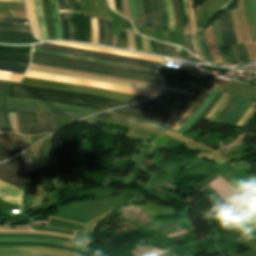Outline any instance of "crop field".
<instances>
[{
    "instance_id": "obj_1",
    "label": "crop field",
    "mask_w": 256,
    "mask_h": 256,
    "mask_svg": "<svg viewBox=\"0 0 256 256\" xmlns=\"http://www.w3.org/2000/svg\"><path fill=\"white\" fill-rule=\"evenodd\" d=\"M7 98H21L62 103L72 106L105 110L107 108L128 104L131 102L102 97L92 94L64 91L58 89L36 87L11 83Z\"/></svg>"
},
{
    "instance_id": "obj_2",
    "label": "crop field",
    "mask_w": 256,
    "mask_h": 256,
    "mask_svg": "<svg viewBox=\"0 0 256 256\" xmlns=\"http://www.w3.org/2000/svg\"><path fill=\"white\" fill-rule=\"evenodd\" d=\"M203 90H198L192 95V98L189 102L188 108L183 112H176L167 109L137 104L133 106H128L124 108H119L115 110L106 111L112 114L135 117L140 119H146L151 121H157L162 123L171 124V129L175 126L181 119H183L187 113L192 109V107L196 104L200 96L202 95Z\"/></svg>"
},
{
    "instance_id": "obj_3",
    "label": "crop field",
    "mask_w": 256,
    "mask_h": 256,
    "mask_svg": "<svg viewBox=\"0 0 256 256\" xmlns=\"http://www.w3.org/2000/svg\"><path fill=\"white\" fill-rule=\"evenodd\" d=\"M233 210L236 213L222 220L235 230L246 244L256 252V215L246 203ZM253 250L238 256H256Z\"/></svg>"
},
{
    "instance_id": "obj_4",
    "label": "crop field",
    "mask_w": 256,
    "mask_h": 256,
    "mask_svg": "<svg viewBox=\"0 0 256 256\" xmlns=\"http://www.w3.org/2000/svg\"><path fill=\"white\" fill-rule=\"evenodd\" d=\"M31 63L41 64V65H48V66H55V67H61V68H67V69L78 70V71L89 72V73H95V74H101V75H107V76H114V77H120V78L146 81V82L161 85L159 78L140 75V74H136V73L117 71V70H111V69H104V68H97V67H90V66H83V65H77V64H71V63H65V62L43 59V58L34 57V56H32Z\"/></svg>"
},
{
    "instance_id": "obj_5",
    "label": "crop field",
    "mask_w": 256,
    "mask_h": 256,
    "mask_svg": "<svg viewBox=\"0 0 256 256\" xmlns=\"http://www.w3.org/2000/svg\"><path fill=\"white\" fill-rule=\"evenodd\" d=\"M70 19V40L91 43L90 15H82L78 0H66Z\"/></svg>"
},
{
    "instance_id": "obj_6",
    "label": "crop field",
    "mask_w": 256,
    "mask_h": 256,
    "mask_svg": "<svg viewBox=\"0 0 256 256\" xmlns=\"http://www.w3.org/2000/svg\"><path fill=\"white\" fill-rule=\"evenodd\" d=\"M21 83L22 84H29V85H36V86H44V87L65 89V90H71V91H78V92L92 93V94L103 95V96L118 98V99H122V100H127V101H131V102L143 101V100L148 99V98L133 96V95H129V94L114 92V91L96 89V88H92V87L76 86V85L63 84V83L50 82V81H42V80H35V79L23 78Z\"/></svg>"
},
{
    "instance_id": "obj_7",
    "label": "crop field",
    "mask_w": 256,
    "mask_h": 256,
    "mask_svg": "<svg viewBox=\"0 0 256 256\" xmlns=\"http://www.w3.org/2000/svg\"><path fill=\"white\" fill-rule=\"evenodd\" d=\"M0 179L19 188L24 186V165L22 154L0 164Z\"/></svg>"
},
{
    "instance_id": "obj_8",
    "label": "crop field",
    "mask_w": 256,
    "mask_h": 256,
    "mask_svg": "<svg viewBox=\"0 0 256 256\" xmlns=\"http://www.w3.org/2000/svg\"><path fill=\"white\" fill-rule=\"evenodd\" d=\"M0 254L36 256H80L73 252L31 246H0Z\"/></svg>"
},
{
    "instance_id": "obj_9",
    "label": "crop field",
    "mask_w": 256,
    "mask_h": 256,
    "mask_svg": "<svg viewBox=\"0 0 256 256\" xmlns=\"http://www.w3.org/2000/svg\"><path fill=\"white\" fill-rule=\"evenodd\" d=\"M7 105H21V106H28V107L41 108V109H51V110H58L62 112L83 114L85 116L91 113L98 112L90 109L72 107V106H67L62 104L31 101V100H21V99H7Z\"/></svg>"
},
{
    "instance_id": "obj_10",
    "label": "crop field",
    "mask_w": 256,
    "mask_h": 256,
    "mask_svg": "<svg viewBox=\"0 0 256 256\" xmlns=\"http://www.w3.org/2000/svg\"><path fill=\"white\" fill-rule=\"evenodd\" d=\"M23 150L19 136L12 133L0 134V161Z\"/></svg>"
},
{
    "instance_id": "obj_11",
    "label": "crop field",
    "mask_w": 256,
    "mask_h": 256,
    "mask_svg": "<svg viewBox=\"0 0 256 256\" xmlns=\"http://www.w3.org/2000/svg\"><path fill=\"white\" fill-rule=\"evenodd\" d=\"M93 117L113 120V121L122 122V123L130 124V125L155 129V130H159V131H163V132H165L169 127L168 124H162V123L151 122V121H146V120L116 116V115H112V114H109V113H106V112L97 114Z\"/></svg>"
},
{
    "instance_id": "obj_12",
    "label": "crop field",
    "mask_w": 256,
    "mask_h": 256,
    "mask_svg": "<svg viewBox=\"0 0 256 256\" xmlns=\"http://www.w3.org/2000/svg\"><path fill=\"white\" fill-rule=\"evenodd\" d=\"M17 119L20 134H37L36 113L17 111Z\"/></svg>"
},
{
    "instance_id": "obj_13",
    "label": "crop field",
    "mask_w": 256,
    "mask_h": 256,
    "mask_svg": "<svg viewBox=\"0 0 256 256\" xmlns=\"http://www.w3.org/2000/svg\"><path fill=\"white\" fill-rule=\"evenodd\" d=\"M39 46H45V47H51V48H56V49H62V50H68V51H74V52H80V53H86V54H92V55H99V56H105V57H112V58H118V59L130 60V61H136V62L151 64V65H156V66L161 64L159 62L147 61V60L130 58V57H122V56H116V55H110V54H104V53H98V52H91V51H85V50H78V49L60 47V46L49 45V44H41Z\"/></svg>"
},
{
    "instance_id": "obj_14",
    "label": "crop field",
    "mask_w": 256,
    "mask_h": 256,
    "mask_svg": "<svg viewBox=\"0 0 256 256\" xmlns=\"http://www.w3.org/2000/svg\"><path fill=\"white\" fill-rule=\"evenodd\" d=\"M0 241H8V242H43V243H51V244L68 246V247L77 248V249H81V250H84V248H85V246L74 244V243H71V242H63V241L43 239V238H5V237H0Z\"/></svg>"
},
{
    "instance_id": "obj_15",
    "label": "crop field",
    "mask_w": 256,
    "mask_h": 256,
    "mask_svg": "<svg viewBox=\"0 0 256 256\" xmlns=\"http://www.w3.org/2000/svg\"><path fill=\"white\" fill-rule=\"evenodd\" d=\"M99 44L112 46L111 20L98 19Z\"/></svg>"
},
{
    "instance_id": "obj_16",
    "label": "crop field",
    "mask_w": 256,
    "mask_h": 256,
    "mask_svg": "<svg viewBox=\"0 0 256 256\" xmlns=\"http://www.w3.org/2000/svg\"><path fill=\"white\" fill-rule=\"evenodd\" d=\"M33 48L42 49V50H48V51L57 52V53H64V54H70V55L89 57V58L100 59V60L111 61V62H117V63H125V64L137 65V66L153 68V69L157 68L156 66L144 65V64H139V63L130 62V61L111 59V58H105V57H99V56H92V55H86V54H80V53H74V52H68V51H62V50H56V49H50V48H44V47H38V46H34Z\"/></svg>"
},
{
    "instance_id": "obj_17",
    "label": "crop field",
    "mask_w": 256,
    "mask_h": 256,
    "mask_svg": "<svg viewBox=\"0 0 256 256\" xmlns=\"http://www.w3.org/2000/svg\"><path fill=\"white\" fill-rule=\"evenodd\" d=\"M219 23L222 29L224 45L227 46V45L236 44L233 31H232V25H231V19H230L229 13L225 14L224 17L220 18Z\"/></svg>"
},
{
    "instance_id": "obj_18",
    "label": "crop field",
    "mask_w": 256,
    "mask_h": 256,
    "mask_svg": "<svg viewBox=\"0 0 256 256\" xmlns=\"http://www.w3.org/2000/svg\"><path fill=\"white\" fill-rule=\"evenodd\" d=\"M32 55H34V56H39V57H43V58H48V59H54V60H60V61H66V62L84 64V65H91V66H97V67L118 69V70L136 72V73H141V74H145V75H150V76H156V77H158V75L155 74V73L145 72V71H139V70H134V69L110 67V66L98 65V64H93V63H87V62H82V61H77V60H71V59H66V58H61V57H55V56H49V55L36 54V53H33Z\"/></svg>"
},
{
    "instance_id": "obj_19",
    "label": "crop field",
    "mask_w": 256,
    "mask_h": 256,
    "mask_svg": "<svg viewBox=\"0 0 256 256\" xmlns=\"http://www.w3.org/2000/svg\"><path fill=\"white\" fill-rule=\"evenodd\" d=\"M247 102L246 99L239 98L236 100L231 109L227 112V114L221 119L218 123L220 125H228L239 113L244 104Z\"/></svg>"
},
{
    "instance_id": "obj_20",
    "label": "crop field",
    "mask_w": 256,
    "mask_h": 256,
    "mask_svg": "<svg viewBox=\"0 0 256 256\" xmlns=\"http://www.w3.org/2000/svg\"><path fill=\"white\" fill-rule=\"evenodd\" d=\"M60 16H61V22H62V32H63V40H69V21H68V15L66 12V6L64 0H57Z\"/></svg>"
},
{
    "instance_id": "obj_21",
    "label": "crop field",
    "mask_w": 256,
    "mask_h": 256,
    "mask_svg": "<svg viewBox=\"0 0 256 256\" xmlns=\"http://www.w3.org/2000/svg\"><path fill=\"white\" fill-rule=\"evenodd\" d=\"M7 108L8 109H12V110L41 112V113H47V114H51V115L71 117V118H73L75 120L83 117V116H78V115H74V114L62 113V112H58V111L41 110V109H34V108L20 107V106H7Z\"/></svg>"
},
{
    "instance_id": "obj_22",
    "label": "crop field",
    "mask_w": 256,
    "mask_h": 256,
    "mask_svg": "<svg viewBox=\"0 0 256 256\" xmlns=\"http://www.w3.org/2000/svg\"><path fill=\"white\" fill-rule=\"evenodd\" d=\"M10 82L4 81L1 93V110H2V117L4 121V126L6 131H11L9 120L7 117V108H6V96H7V89Z\"/></svg>"
},
{
    "instance_id": "obj_23",
    "label": "crop field",
    "mask_w": 256,
    "mask_h": 256,
    "mask_svg": "<svg viewBox=\"0 0 256 256\" xmlns=\"http://www.w3.org/2000/svg\"><path fill=\"white\" fill-rule=\"evenodd\" d=\"M53 22L56 32V39H62L60 16L56 0H50Z\"/></svg>"
},
{
    "instance_id": "obj_24",
    "label": "crop field",
    "mask_w": 256,
    "mask_h": 256,
    "mask_svg": "<svg viewBox=\"0 0 256 256\" xmlns=\"http://www.w3.org/2000/svg\"><path fill=\"white\" fill-rule=\"evenodd\" d=\"M210 92L211 89L206 88L203 95L201 96L197 104L193 107V109L189 112V114L171 130L176 132L201 107V105L203 104V102L205 101Z\"/></svg>"
},
{
    "instance_id": "obj_25",
    "label": "crop field",
    "mask_w": 256,
    "mask_h": 256,
    "mask_svg": "<svg viewBox=\"0 0 256 256\" xmlns=\"http://www.w3.org/2000/svg\"><path fill=\"white\" fill-rule=\"evenodd\" d=\"M216 93L217 90L213 89V91L210 93L202 107L177 131V133L180 134L182 131H184L200 115V113L206 108V106L213 99Z\"/></svg>"
},
{
    "instance_id": "obj_26",
    "label": "crop field",
    "mask_w": 256,
    "mask_h": 256,
    "mask_svg": "<svg viewBox=\"0 0 256 256\" xmlns=\"http://www.w3.org/2000/svg\"><path fill=\"white\" fill-rule=\"evenodd\" d=\"M31 48H19L10 46H0V53L2 54H16L30 56Z\"/></svg>"
},
{
    "instance_id": "obj_27",
    "label": "crop field",
    "mask_w": 256,
    "mask_h": 256,
    "mask_svg": "<svg viewBox=\"0 0 256 256\" xmlns=\"http://www.w3.org/2000/svg\"><path fill=\"white\" fill-rule=\"evenodd\" d=\"M163 81H164V85H166V86H170V87H174V88H178V89H182V90H187V91H192V92H195L198 88H201L200 86L171 81V80L163 79Z\"/></svg>"
},
{
    "instance_id": "obj_28",
    "label": "crop field",
    "mask_w": 256,
    "mask_h": 256,
    "mask_svg": "<svg viewBox=\"0 0 256 256\" xmlns=\"http://www.w3.org/2000/svg\"><path fill=\"white\" fill-rule=\"evenodd\" d=\"M30 57L23 56H12V55H1L0 62L17 63V64H29Z\"/></svg>"
},
{
    "instance_id": "obj_29",
    "label": "crop field",
    "mask_w": 256,
    "mask_h": 256,
    "mask_svg": "<svg viewBox=\"0 0 256 256\" xmlns=\"http://www.w3.org/2000/svg\"><path fill=\"white\" fill-rule=\"evenodd\" d=\"M150 3H151L153 18H154V29H162L157 0H150Z\"/></svg>"
},
{
    "instance_id": "obj_30",
    "label": "crop field",
    "mask_w": 256,
    "mask_h": 256,
    "mask_svg": "<svg viewBox=\"0 0 256 256\" xmlns=\"http://www.w3.org/2000/svg\"><path fill=\"white\" fill-rule=\"evenodd\" d=\"M27 67L25 65L0 63V71L24 73Z\"/></svg>"
},
{
    "instance_id": "obj_31",
    "label": "crop field",
    "mask_w": 256,
    "mask_h": 256,
    "mask_svg": "<svg viewBox=\"0 0 256 256\" xmlns=\"http://www.w3.org/2000/svg\"><path fill=\"white\" fill-rule=\"evenodd\" d=\"M146 27H153V18L150 8L149 0H142Z\"/></svg>"
},
{
    "instance_id": "obj_32",
    "label": "crop field",
    "mask_w": 256,
    "mask_h": 256,
    "mask_svg": "<svg viewBox=\"0 0 256 256\" xmlns=\"http://www.w3.org/2000/svg\"><path fill=\"white\" fill-rule=\"evenodd\" d=\"M0 30L31 33L30 27L29 26H23V25H3V24H0Z\"/></svg>"
},
{
    "instance_id": "obj_33",
    "label": "crop field",
    "mask_w": 256,
    "mask_h": 256,
    "mask_svg": "<svg viewBox=\"0 0 256 256\" xmlns=\"http://www.w3.org/2000/svg\"><path fill=\"white\" fill-rule=\"evenodd\" d=\"M167 11H168V22H169V30L168 31H175V17L173 12V7L171 0H165Z\"/></svg>"
},
{
    "instance_id": "obj_34",
    "label": "crop field",
    "mask_w": 256,
    "mask_h": 256,
    "mask_svg": "<svg viewBox=\"0 0 256 256\" xmlns=\"http://www.w3.org/2000/svg\"><path fill=\"white\" fill-rule=\"evenodd\" d=\"M155 99H159V100L170 102V103L185 105V106H187V104L189 102L188 99L177 98V97H172V96H167V95H160L159 97H157Z\"/></svg>"
},
{
    "instance_id": "obj_35",
    "label": "crop field",
    "mask_w": 256,
    "mask_h": 256,
    "mask_svg": "<svg viewBox=\"0 0 256 256\" xmlns=\"http://www.w3.org/2000/svg\"><path fill=\"white\" fill-rule=\"evenodd\" d=\"M0 37H10V38H21V39H34L32 34L26 33H14V32H2L0 31Z\"/></svg>"
},
{
    "instance_id": "obj_36",
    "label": "crop field",
    "mask_w": 256,
    "mask_h": 256,
    "mask_svg": "<svg viewBox=\"0 0 256 256\" xmlns=\"http://www.w3.org/2000/svg\"><path fill=\"white\" fill-rule=\"evenodd\" d=\"M158 3L160 7V12H161L163 31H167L168 29L167 11H166L164 0H158Z\"/></svg>"
},
{
    "instance_id": "obj_37",
    "label": "crop field",
    "mask_w": 256,
    "mask_h": 256,
    "mask_svg": "<svg viewBox=\"0 0 256 256\" xmlns=\"http://www.w3.org/2000/svg\"><path fill=\"white\" fill-rule=\"evenodd\" d=\"M223 57V62L236 60L235 54L231 47L219 48Z\"/></svg>"
},
{
    "instance_id": "obj_38",
    "label": "crop field",
    "mask_w": 256,
    "mask_h": 256,
    "mask_svg": "<svg viewBox=\"0 0 256 256\" xmlns=\"http://www.w3.org/2000/svg\"><path fill=\"white\" fill-rule=\"evenodd\" d=\"M198 36H199V41H200L202 51H203L204 56H205V60H211L212 61V57H211V55H210V53L207 49L206 43H205L203 30L198 32Z\"/></svg>"
},
{
    "instance_id": "obj_39",
    "label": "crop field",
    "mask_w": 256,
    "mask_h": 256,
    "mask_svg": "<svg viewBox=\"0 0 256 256\" xmlns=\"http://www.w3.org/2000/svg\"><path fill=\"white\" fill-rule=\"evenodd\" d=\"M0 23H3V24H24V25H29L27 20L15 19V18H5V17H0Z\"/></svg>"
},
{
    "instance_id": "obj_40",
    "label": "crop field",
    "mask_w": 256,
    "mask_h": 256,
    "mask_svg": "<svg viewBox=\"0 0 256 256\" xmlns=\"http://www.w3.org/2000/svg\"><path fill=\"white\" fill-rule=\"evenodd\" d=\"M232 47H233L239 61H246L247 60L246 55L243 51V48H242L241 44L235 45V46H232Z\"/></svg>"
},
{
    "instance_id": "obj_41",
    "label": "crop field",
    "mask_w": 256,
    "mask_h": 256,
    "mask_svg": "<svg viewBox=\"0 0 256 256\" xmlns=\"http://www.w3.org/2000/svg\"><path fill=\"white\" fill-rule=\"evenodd\" d=\"M0 42L15 43V44H26V43H32V42H38V41L21 40V39H10V38H0Z\"/></svg>"
},
{
    "instance_id": "obj_42",
    "label": "crop field",
    "mask_w": 256,
    "mask_h": 256,
    "mask_svg": "<svg viewBox=\"0 0 256 256\" xmlns=\"http://www.w3.org/2000/svg\"><path fill=\"white\" fill-rule=\"evenodd\" d=\"M43 144H44V140L38 143V165H39V170L44 169L43 159H42Z\"/></svg>"
},
{
    "instance_id": "obj_43",
    "label": "crop field",
    "mask_w": 256,
    "mask_h": 256,
    "mask_svg": "<svg viewBox=\"0 0 256 256\" xmlns=\"http://www.w3.org/2000/svg\"><path fill=\"white\" fill-rule=\"evenodd\" d=\"M31 164L32 171L37 170V144L32 146Z\"/></svg>"
},
{
    "instance_id": "obj_44",
    "label": "crop field",
    "mask_w": 256,
    "mask_h": 256,
    "mask_svg": "<svg viewBox=\"0 0 256 256\" xmlns=\"http://www.w3.org/2000/svg\"><path fill=\"white\" fill-rule=\"evenodd\" d=\"M38 134L44 133V115L37 113Z\"/></svg>"
},
{
    "instance_id": "obj_45",
    "label": "crop field",
    "mask_w": 256,
    "mask_h": 256,
    "mask_svg": "<svg viewBox=\"0 0 256 256\" xmlns=\"http://www.w3.org/2000/svg\"><path fill=\"white\" fill-rule=\"evenodd\" d=\"M226 96L225 93L222 94V96L219 98V100L216 102V104L213 106V108L210 110V112L204 117V119L208 120L212 114L215 112V110L218 108L224 97Z\"/></svg>"
},
{
    "instance_id": "obj_46",
    "label": "crop field",
    "mask_w": 256,
    "mask_h": 256,
    "mask_svg": "<svg viewBox=\"0 0 256 256\" xmlns=\"http://www.w3.org/2000/svg\"><path fill=\"white\" fill-rule=\"evenodd\" d=\"M30 154H31V148H29L27 151L24 152L26 172L31 171Z\"/></svg>"
},
{
    "instance_id": "obj_47",
    "label": "crop field",
    "mask_w": 256,
    "mask_h": 256,
    "mask_svg": "<svg viewBox=\"0 0 256 256\" xmlns=\"http://www.w3.org/2000/svg\"><path fill=\"white\" fill-rule=\"evenodd\" d=\"M231 98V95L227 94L225 100L222 102V104L219 106V108L216 110V112L213 114V116L209 119V121H213L214 118L219 114V112L222 110V108L226 105V103Z\"/></svg>"
},
{
    "instance_id": "obj_48",
    "label": "crop field",
    "mask_w": 256,
    "mask_h": 256,
    "mask_svg": "<svg viewBox=\"0 0 256 256\" xmlns=\"http://www.w3.org/2000/svg\"><path fill=\"white\" fill-rule=\"evenodd\" d=\"M255 107H256V101L253 102V104L250 106V108L246 111V113L242 116V118L237 122L235 126L239 127Z\"/></svg>"
},
{
    "instance_id": "obj_49",
    "label": "crop field",
    "mask_w": 256,
    "mask_h": 256,
    "mask_svg": "<svg viewBox=\"0 0 256 256\" xmlns=\"http://www.w3.org/2000/svg\"><path fill=\"white\" fill-rule=\"evenodd\" d=\"M184 39L186 41V45H187V49L188 51L192 52L193 54H195V50H194V47H193V44H192V41H191V38H190V35H184ZM196 55V54H195Z\"/></svg>"
},
{
    "instance_id": "obj_50",
    "label": "crop field",
    "mask_w": 256,
    "mask_h": 256,
    "mask_svg": "<svg viewBox=\"0 0 256 256\" xmlns=\"http://www.w3.org/2000/svg\"><path fill=\"white\" fill-rule=\"evenodd\" d=\"M133 35H134V40H135V44H136V50L142 52L140 35H138L134 30H133Z\"/></svg>"
},
{
    "instance_id": "obj_51",
    "label": "crop field",
    "mask_w": 256,
    "mask_h": 256,
    "mask_svg": "<svg viewBox=\"0 0 256 256\" xmlns=\"http://www.w3.org/2000/svg\"><path fill=\"white\" fill-rule=\"evenodd\" d=\"M45 128H46V133L52 132L51 116L45 115Z\"/></svg>"
},
{
    "instance_id": "obj_52",
    "label": "crop field",
    "mask_w": 256,
    "mask_h": 256,
    "mask_svg": "<svg viewBox=\"0 0 256 256\" xmlns=\"http://www.w3.org/2000/svg\"><path fill=\"white\" fill-rule=\"evenodd\" d=\"M129 5H130V13H131V19L136 18V8H135V1L134 0H129Z\"/></svg>"
},
{
    "instance_id": "obj_53",
    "label": "crop field",
    "mask_w": 256,
    "mask_h": 256,
    "mask_svg": "<svg viewBox=\"0 0 256 256\" xmlns=\"http://www.w3.org/2000/svg\"><path fill=\"white\" fill-rule=\"evenodd\" d=\"M121 40V48L127 49V40L125 32H119Z\"/></svg>"
},
{
    "instance_id": "obj_54",
    "label": "crop field",
    "mask_w": 256,
    "mask_h": 256,
    "mask_svg": "<svg viewBox=\"0 0 256 256\" xmlns=\"http://www.w3.org/2000/svg\"><path fill=\"white\" fill-rule=\"evenodd\" d=\"M142 104H147V105H152V106L167 108V109L176 110V111H180V112H183V111H184L183 109H178V108H174V107L159 105V104L150 103V102H146V103H142Z\"/></svg>"
},
{
    "instance_id": "obj_55",
    "label": "crop field",
    "mask_w": 256,
    "mask_h": 256,
    "mask_svg": "<svg viewBox=\"0 0 256 256\" xmlns=\"http://www.w3.org/2000/svg\"><path fill=\"white\" fill-rule=\"evenodd\" d=\"M20 136V139L22 141V144H23V147L26 148L28 147L29 145H31V140H30V137L28 136Z\"/></svg>"
},
{
    "instance_id": "obj_56",
    "label": "crop field",
    "mask_w": 256,
    "mask_h": 256,
    "mask_svg": "<svg viewBox=\"0 0 256 256\" xmlns=\"http://www.w3.org/2000/svg\"><path fill=\"white\" fill-rule=\"evenodd\" d=\"M162 93L163 94H169V95H172V96H177V97L188 98V99H190V97H191L189 95L180 94V93H176V92L165 91V90H163Z\"/></svg>"
},
{
    "instance_id": "obj_57",
    "label": "crop field",
    "mask_w": 256,
    "mask_h": 256,
    "mask_svg": "<svg viewBox=\"0 0 256 256\" xmlns=\"http://www.w3.org/2000/svg\"><path fill=\"white\" fill-rule=\"evenodd\" d=\"M256 115V108L253 110V112L248 116V118L242 123L240 126L241 128H244Z\"/></svg>"
},
{
    "instance_id": "obj_58",
    "label": "crop field",
    "mask_w": 256,
    "mask_h": 256,
    "mask_svg": "<svg viewBox=\"0 0 256 256\" xmlns=\"http://www.w3.org/2000/svg\"><path fill=\"white\" fill-rule=\"evenodd\" d=\"M156 43H157L158 54H159V55L166 56L164 44H163V43H160V42H157V41H156Z\"/></svg>"
},
{
    "instance_id": "obj_59",
    "label": "crop field",
    "mask_w": 256,
    "mask_h": 256,
    "mask_svg": "<svg viewBox=\"0 0 256 256\" xmlns=\"http://www.w3.org/2000/svg\"><path fill=\"white\" fill-rule=\"evenodd\" d=\"M150 102H155V103H159V104H164V105H169V106H174V107H178V108L186 109V107H185V106H180V105L170 104V103L162 102V101L155 100V99L150 100Z\"/></svg>"
},
{
    "instance_id": "obj_60",
    "label": "crop field",
    "mask_w": 256,
    "mask_h": 256,
    "mask_svg": "<svg viewBox=\"0 0 256 256\" xmlns=\"http://www.w3.org/2000/svg\"><path fill=\"white\" fill-rule=\"evenodd\" d=\"M246 202L249 204V206L253 209V211L256 213V198L253 197L251 199L246 200Z\"/></svg>"
},
{
    "instance_id": "obj_61",
    "label": "crop field",
    "mask_w": 256,
    "mask_h": 256,
    "mask_svg": "<svg viewBox=\"0 0 256 256\" xmlns=\"http://www.w3.org/2000/svg\"><path fill=\"white\" fill-rule=\"evenodd\" d=\"M52 120H53V131L60 128L59 117L52 116Z\"/></svg>"
},
{
    "instance_id": "obj_62",
    "label": "crop field",
    "mask_w": 256,
    "mask_h": 256,
    "mask_svg": "<svg viewBox=\"0 0 256 256\" xmlns=\"http://www.w3.org/2000/svg\"><path fill=\"white\" fill-rule=\"evenodd\" d=\"M115 8H116V12L122 14L121 0H115Z\"/></svg>"
},
{
    "instance_id": "obj_63",
    "label": "crop field",
    "mask_w": 256,
    "mask_h": 256,
    "mask_svg": "<svg viewBox=\"0 0 256 256\" xmlns=\"http://www.w3.org/2000/svg\"><path fill=\"white\" fill-rule=\"evenodd\" d=\"M149 42H150L151 53L157 54L155 41L149 39ZM157 55H158V54H157Z\"/></svg>"
},
{
    "instance_id": "obj_64",
    "label": "crop field",
    "mask_w": 256,
    "mask_h": 256,
    "mask_svg": "<svg viewBox=\"0 0 256 256\" xmlns=\"http://www.w3.org/2000/svg\"><path fill=\"white\" fill-rule=\"evenodd\" d=\"M2 83H3V81H0V91H1ZM0 131L1 132L5 131L4 126H3L2 117H1V110H0Z\"/></svg>"
},
{
    "instance_id": "obj_65",
    "label": "crop field",
    "mask_w": 256,
    "mask_h": 256,
    "mask_svg": "<svg viewBox=\"0 0 256 256\" xmlns=\"http://www.w3.org/2000/svg\"><path fill=\"white\" fill-rule=\"evenodd\" d=\"M252 4H253L254 20H255V24H256V0H252Z\"/></svg>"
},
{
    "instance_id": "obj_66",
    "label": "crop field",
    "mask_w": 256,
    "mask_h": 256,
    "mask_svg": "<svg viewBox=\"0 0 256 256\" xmlns=\"http://www.w3.org/2000/svg\"><path fill=\"white\" fill-rule=\"evenodd\" d=\"M0 16L12 17L8 11L0 10Z\"/></svg>"
},
{
    "instance_id": "obj_67",
    "label": "crop field",
    "mask_w": 256,
    "mask_h": 256,
    "mask_svg": "<svg viewBox=\"0 0 256 256\" xmlns=\"http://www.w3.org/2000/svg\"><path fill=\"white\" fill-rule=\"evenodd\" d=\"M0 2H18V3H24V0H0Z\"/></svg>"
},
{
    "instance_id": "obj_68",
    "label": "crop field",
    "mask_w": 256,
    "mask_h": 256,
    "mask_svg": "<svg viewBox=\"0 0 256 256\" xmlns=\"http://www.w3.org/2000/svg\"><path fill=\"white\" fill-rule=\"evenodd\" d=\"M158 251H160V250L156 249V250H154V251L148 252V253L143 254V255H140V256H146V255H149V254H152V253L158 252Z\"/></svg>"
},
{
    "instance_id": "obj_69",
    "label": "crop field",
    "mask_w": 256,
    "mask_h": 256,
    "mask_svg": "<svg viewBox=\"0 0 256 256\" xmlns=\"http://www.w3.org/2000/svg\"><path fill=\"white\" fill-rule=\"evenodd\" d=\"M161 253H165V252H158V253L150 255V256H154V255L161 254Z\"/></svg>"
},
{
    "instance_id": "obj_70",
    "label": "crop field",
    "mask_w": 256,
    "mask_h": 256,
    "mask_svg": "<svg viewBox=\"0 0 256 256\" xmlns=\"http://www.w3.org/2000/svg\"><path fill=\"white\" fill-rule=\"evenodd\" d=\"M169 253H165V254H161V255H157V256H164V255H168Z\"/></svg>"
}]
</instances>
